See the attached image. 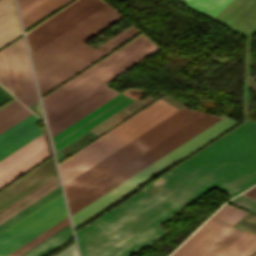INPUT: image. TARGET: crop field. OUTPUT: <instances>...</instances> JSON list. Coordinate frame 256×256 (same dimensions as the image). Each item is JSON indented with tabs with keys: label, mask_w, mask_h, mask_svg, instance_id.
Segmentation results:
<instances>
[{
	"label": "crop field",
	"mask_w": 256,
	"mask_h": 256,
	"mask_svg": "<svg viewBox=\"0 0 256 256\" xmlns=\"http://www.w3.org/2000/svg\"><path fill=\"white\" fill-rule=\"evenodd\" d=\"M55 175H57V171L54 160L51 159L25 177H21L22 179L18 180L0 192V210L21 198L28 192L32 191Z\"/></svg>",
	"instance_id": "obj_13"
},
{
	"label": "crop field",
	"mask_w": 256,
	"mask_h": 256,
	"mask_svg": "<svg viewBox=\"0 0 256 256\" xmlns=\"http://www.w3.org/2000/svg\"><path fill=\"white\" fill-rule=\"evenodd\" d=\"M244 194L251 196L253 198L256 199V186L253 187L252 189L248 190L247 192H245Z\"/></svg>",
	"instance_id": "obj_26"
},
{
	"label": "crop field",
	"mask_w": 256,
	"mask_h": 256,
	"mask_svg": "<svg viewBox=\"0 0 256 256\" xmlns=\"http://www.w3.org/2000/svg\"><path fill=\"white\" fill-rule=\"evenodd\" d=\"M130 102L132 101L128 100L124 96L120 94L116 95L103 105L99 106L71 126L52 137L54 149L57 150L58 148L62 147Z\"/></svg>",
	"instance_id": "obj_12"
},
{
	"label": "crop field",
	"mask_w": 256,
	"mask_h": 256,
	"mask_svg": "<svg viewBox=\"0 0 256 256\" xmlns=\"http://www.w3.org/2000/svg\"><path fill=\"white\" fill-rule=\"evenodd\" d=\"M0 84L26 106L37 101L22 40L0 54Z\"/></svg>",
	"instance_id": "obj_11"
},
{
	"label": "crop field",
	"mask_w": 256,
	"mask_h": 256,
	"mask_svg": "<svg viewBox=\"0 0 256 256\" xmlns=\"http://www.w3.org/2000/svg\"><path fill=\"white\" fill-rule=\"evenodd\" d=\"M254 256H256V254Z\"/></svg>",
	"instance_id": "obj_28"
},
{
	"label": "crop field",
	"mask_w": 256,
	"mask_h": 256,
	"mask_svg": "<svg viewBox=\"0 0 256 256\" xmlns=\"http://www.w3.org/2000/svg\"><path fill=\"white\" fill-rule=\"evenodd\" d=\"M231 226L209 219L170 256H201Z\"/></svg>",
	"instance_id": "obj_14"
},
{
	"label": "crop field",
	"mask_w": 256,
	"mask_h": 256,
	"mask_svg": "<svg viewBox=\"0 0 256 256\" xmlns=\"http://www.w3.org/2000/svg\"><path fill=\"white\" fill-rule=\"evenodd\" d=\"M20 3L23 0H17ZM69 0H25L18 4L23 27L31 25Z\"/></svg>",
	"instance_id": "obj_16"
},
{
	"label": "crop field",
	"mask_w": 256,
	"mask_h": 256,
	"mask_svg": "<svg viewBox=\"0 0 256 256\" xmlns=\"http://www.w3.org/2000/svg\"><path fill=\"white\" fill-rule=\"evenodd\" d=\"M244 231L232 227L202 256H219L230 246ZM256 251V235L245 232L220 256H251Z\"/></svg>",
	"instance_id": "obj_15"
},
{
	"label": "crop field",
	"mask_w": 256,
	"mask_h": 256,
	"mask_svg": "<svg viewBox=\"0 0 256 256\" xmlns=\"http://www.w3.org/2000/svg\"><path fill=\"white\" fill-rule=\"evenodd\" d=\"M60 192H62V190H61L60 187H58L57 189L53 190L52 192H50L49 194H47L43 198L39 199L38 201H36L32 205H30L29 207L25 208L24 210H22L21 212H19L15 216L11 217L10 219H8L7 221H5L4 223H2L0 225V231L3 230L4 228L8 227L12 223H14L15 221H17L21 217L25 216L26 214H28L29 212H31L32 210H34L38 206L42 205L43 203H45L46 201H48L52 197L56 196Z\"/></svg>",
	"instance_id": "obj_21"
},
{
	"label": "crop field",
	"mask_w": 256,
	"mask_h": 256,
	"mask_svg": "<svg viewBox=\"0 0 256 256\" xmlns=\"http://www.w3.org/2000/svg\"><path fill=\"white\" fill-rule=\"evenodd\" d=\"M225 117L210 125L209 127L204 129L197 135L193 136L180 146L176 147L163 157L159 158L158 160H156V162L170 167L194 152L195 150L199 149L206 143L210 142L217 136L221 135L231 127L238 124V122L229 120L230 118L227 119L228 117ZM168 167L161 166L155 163L150 164L149 166L142 169L132 177L128 178L127 180H125L115 188L111 189L98 199L94 200L81 210L71 215L73 226L76 227L77 225L81 224L82 222L92 217L99 211L103 210L110 204L114 203L115 201L122 198L129 192L133 191L140 185L144 184L151 178L155 177L162 171L166 170Z\"/></svg>",
	"instance_id": "obj_6"
},
{
	"label": "crop field",
	"mask_w": 256,
	"mask_h": 256,
	"mask_svg": "<svg viewBox=\"0 0 256 256\" xmlns=\"http://www.w3.org/2000/svg\"><path fill=\"white\" fill-rule=\"evenodd\" d=\"M158 49L143 34L140 35L42 98L43 107L46 108L94 76L108 83ZM95 77L44 109L51 136L118 94Z\"/></svg>",
	"instance_id": "obj_2"
},
{
	"label": "crop field",
	"mask_w": 256,
	"mask_h": 256,
	"mask_svg": "<svg viewBox=\"0 0 256 256\" xmlns=\"http://www.w3.org/2000/svg\"><path fill=\"white\" fill-rule=\"evenodd\" d=\"M56 256H78L75 244H72L67 249L57 254Z\"/></svg>",
	"instance_id": "obj_24"
},
{
	"label": "crop field",
	"mask_w": 256,
	"mask_h": 256,
	"mask_svg": "<svg viewBox=\"0 0 256 256\" xmlns=\"http://www.w3.org/2000/svg\"><path fill=\"white\" fill-rule=\"evenodd\" d=\"M245 214L246 212L225 204L214 214L213 218L233 225Z\"/></svg>",
	"instance_id": "obj_22"
},
{
	"label": "crop field",
	"mask_w": 256,
	"mask_h": 256,
	"mask_svg": "<svg viewBox=\"0 0 256 256\" xmlns=\"http://www.w3.org/2000/svg\"><path fill=\"white\" fill-rule=\"evenodd\" d=\"M103 0H77L39 26L26 33L33 52L100 6ZM123 18L107 4L103 5L33 53L35 73L82 45L93 36Z\"/></svg>",
	"instance_id": "obj_3"
},
{
	"label": "crop field",
	"mask_w": 256,
	"mask_h": 256,
	"mask_svg": "<svg viewBox=\"0 0 256 256\" xmlns=\"http://www.w3.org/2000/svg\"><path fill=\"white\" fill-rule=\"evenodd\" d=\"M65 216L63 194L60 193L0 232V256H6Z\"/></svg>",
	"instance_id": "obj_9"
},
{
	"label": "crop field",
	"mask_w": 256,
	"mask_h": 256,
	"mask_svg": "<svg viewBox=\"0 0 256 256\" xmlns=\"http://www.w3.org/2000/svg\"><path fill=\"white\" fill-rule=\"evenodd\" d=\"M230 203L256 213V200L241 195Z\"/></svg>",
	"instance_id": "obj_23"
},
{
	"label": "crop field",
	"mask_w": 256,
	"mask_h": 256,
	"mask_svg": "<svg viewBox=\"0 0 256 256\" xmlns=\"http://www.w3.org/2000/svg\"><path fill=\"white\" fill-rule=\"evenodd\" d=\"M137 32H139V30L132 25L95 50L86 43L78 47L68 55L36 74L40 93L43 94L51 89Z\"/></svg>",
	"instance_id": "obj_10"
},
{
	"label": "crop field",
	"mask_w": 256,
	"mask_h": 256,
	"mask_svg": "<svg viewBox=\"0 0 256 256\" xmlns=\"http://www.w3.org/2000/svg\"><path fill=\"white\" fill-rule=\"evenodd\" d=\"M256 184V123L245 122L76 232L82 256H131L167 231L156 225L213 187Z\"/></svg>",
	"instance_id": "obj_1"
},
{
	"label": "crop field",
	"mask_w": 256,
	"mask_h": 256,
	"mask_svg": "<svg viewBox=\"0 0 256 256\" xmlns=\"http://www.w3.org/2000/svg\"><path fill=\"white\" fill-rule=\"evenodd\" d=\"M21 39H23V38H20L19 40H21ZM19 40H17L16 42H18ZM16 42H14V43H16ZM14 43H12L11 45H13ZM11 45H9L8 47H10ZM8 47H6L5 49H7ZM5 49H3L2 51H4ZM2 51H0V52H2Z\"/></svg>",
	"instance_id": "obj_27"
},
{
	"label": "crop field",
	"mask_w": 256,
	"mask_h": 256,
	"mask_svg": "<svg viewBox=\"0 0 256 256\" xmlns=\"http://www.w3.org/2000/svg\"><path fill=\"white\" fill-rule=\"evenodd\" d=\"M180 1L211 18L231 0H180Z\"/></svg>",
	"instance_id": "obj_19"
},
{
	"label": "crop field",
	"mask_w": 256,
	"mask_h": 256,
	"mask_svg": "<svg viewBox=\"0 0 256 256\" xmlns=\"http://www.w3.org/2000/svg\"><path fill=\"white\" fill-rule=\"evenodd\" d=\"M67 224H69L68 217H65L64 219L54 224L53 226H51L50 228H48L47 230H45L44 232H42L32 240L28 241L27 243H25L24 245H22L21 247H19L18 249H16L15 251H13L7 256L22 255L23 253H25L26 251H28L29 249H31L32 247H34L35 245H37L38 243H40L41 241L49 237L50 235L54 234L55 232H57Z\"/></svg>",
	"instance_id": "obj_20"
},
{
	"label": "crop field",
	"mask_w": 256,
	"mask_h": 256,
	"mask_svg": "<svg viewBox=\"0 0 256 256\" xmlns=\"http://www.w3.org/2000/svg\"><path fill=\"white\" fill-rule=\"evenodd\" d=\"M218 119L220 118L205 114L200 115L120 168L88 187L80 194L67 200L70 214L81 209Z\"/></svg>",
	"instance_id": "obj_7"
},
{
	"label": "crop field",
	"mask_w": 256,
	"mask_h": 256,
	"mask_svg": "<svg viewBox=\"0 0 256 256\" xmlns=\"http://www.w3.org/2000/svg\"><path fill=\"white\" fill-rule=\"evenodd\" d=\"M22 34L13 0H0V47Z\"/></svg>",
	"instance_id": "obj_17"
},
{
	"label": "crop field",
	"mask_w": 256,
	"mask_h": 256,
	"mask_svg": "<svg viewBox=\"0 0 256 256\" xmlns=\"http://www.w3.org/2000/svg\"><path fill=\"white\" fill-rule=\"evenodd\" d=\"M9 96H11L8 92H6L1 86H0V102L5 100L6 98H8ZM2 103V102H1Z\"/></svg>",
	"instance_id": "obj_25"
},
{
	"label": "crop field",
	"mask_w": 256,
	"mask_h": 256,
	"mask_svg": "<svg viewBox=\"0 0 256 256\" xmlns=\"http://www.w3.org/2000/svg\"><path fill=\"white\" fill-rule=\"evenodd\" d=\"M71 238H73V236L70 225H67L22 256H44Z\"/></svg>",
	"instance_id": "obj_18"
},
{
	"label": "crop field",
	"mask_w": 256,
	"mask_h": 256,
	"mask_svg": "<svg viewBox=\"0 0 256 256\" xmlns=\"http://www.w3.org/2000/svg\"><path fill=\"white\" fill-rule=\"evenodd\" d=\"M179 109L157 100L95 142L58 164L65 184Z\"/></svg>",
	"instance_id": "obj_5"
},
{
	"label": "crop field",
	"mask_w": 256,
	"mask_h": 256,
	"mask_svg": "<svg viewBox=\"0 0 256 256\" xmlns=\"http://www.w3.org/2000/svg\"><path fill=\"white\" fill-rule=\"evenodd\" d=\"M33 114L16 100L0 110V134ZM34 114L0 135V159L41 131ZM49 157L44 134L0 160V188Z\"/></svg>",
	"instance_id": "obj_4"
},
{
	"label": "crop field",
	"mask_w": 256,
	"mask_h": 256,
	"mask_svg": "<svg viewBox=\"0 0 256 256\" xmlns=\"http://www.w3.org/2000/svg\"><path fill=\"white\" fill-rule=\"evenodd\" d=\"M200 114L201 113L186 107L182 108L141 136L137 137L124 147L120 148L107 158L103 159L90 169L63 185L66 199L74 196L84 188L99 180L109 172L135 157Z\"/></svg>",
	"instance_id": "obj_8"
}]
</instances>
